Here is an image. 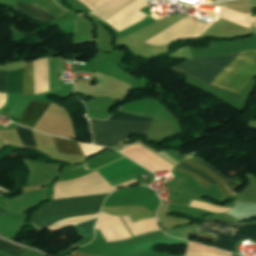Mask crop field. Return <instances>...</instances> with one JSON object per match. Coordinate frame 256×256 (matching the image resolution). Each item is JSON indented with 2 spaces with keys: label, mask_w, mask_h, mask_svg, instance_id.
I'll use <instances>...</instances> for the list:
<instances>
[{
  "label": "crop field",
  "mask_w": 256,
  "mask_h": 256,
  "mask_svg": "<svg viewBox=\"0 0 256 256\" xmlns=\"http://www.w3.org/2000/svg\"><path fill=\"white\" fill-rule=\"evenodd\" d=\"M240 53L187 61L171 71L212 84ZM255 75L256 51L242 52L213 85L240 94Z\"/></svg>",
  "instance_id": "1"
},
{
  "label": "crop field",
  "mask_w": 256,
  "mask_h": 256,
  "mask_svg": "<svg viewBox=\"0 0 256 256\" xmlns=\"http://www.w3.org/2000/svg\"><path fill=\"white\" fill-rule=\"evenodd\" d=\"M107 195L53 200L44 207L103 202ZM101 205L102 203L42 208L32 215V222L42 230L63 218L98 213Z\"/></svg>",
  "instance_id": "2"
},
{
  "label": "crop field",
  "mask_w": 256,
  "mask_h": 256,
  "mask_svg": "<svg viewBox=\"0 0 256 256\" xmlns=\"http://www.w3.org/2000/svg\"><path fill=\"white\" fill-rule=\"evenodd\" d=\"M95 144L116 147L131 134H145L150 122L89 119ZM152 123V122H151Z\"/></svg>",
  "instance_id": "3"
},
{
  "label": "crop field",
  "mask_w": 256,
  "mask_h": 256,
  "mask_svg": "<svg viewBox=\"0 0 256 256\" xmlns=\"http://www.w3.org/2000/svg\"><path fill=\"white\" fill-rule=\"evenodd\" d=\"M254 225H256V223L244 224L211 219L202 223L197 228V230L210 233L218 238L220 236L234 232L242 227L248 230ZM244 228L234 233L218 238L214 244V247L231 252L234 244L238 243L242 239H251L256 242V226L248 231H246Z\"/></svg>",
  "instance_id": "4"
},
{
  "label": "crop field",
  "mask_w": 256,
  "mask_h": 256,
  "mask_svg": "<svg viewBox=\"0 0 256 256\" xmlns=\"http://www.w3.org/2000/svg\"><path fill=\"white\" fill-rule=\"evenodd\" d=\"M7 71H0V91L4 92ZM24 67L8 71L5 92L23 94ZM24 94H34L33 62L25 66Z\"/></svg>",
  "instance_id": "5"
},
{
  "label": "crop field",
  "mask_w": 256,
  "mask_h": 256,
  "mask_svg": "<svg viewBox=\"0 0 256 256\" xmlns=\"http://www.w3.org/2000/svg\"><path fill=\"white\" fill-rule=\"evenodd\" d=\"M49 106L50 103L31 101L24 113L21 115L22 119L20 124L33 128Z\"/></svg>",
  "instance_id": "6"
},
{
  "label": "crop field",
  "mask_w": 256,
  "mask_h": 256,
  "mask_svg": "<svg viewBox=\"0 0 256 256\" xmlns=\"http://www.w3.org/2000/svg\"><path fill=\"white\" fill-rule=\"evenodd\" d=\"M16 10H20L23 13L29 15L31 18L41 22L53 21L56 18L47 14L46 12L25 3H17Z\"/></svg>",
  "instance_id": "7"
},
{
  "label": "crop field",
  "mask_w": 256,
  "mask_h": 256,
  "mask_svg": "<svg viewBox=\"0 0 256 256\" xmlns=\"http://www.w3.org/2000/svg\"><path fill=\"white\" fill-rule=\"evenodd\" d=\"M59 153L82 156L76 142L53 137Z\"/></svg>",
  "instance_id": "8"
},
{
  "label": "crop field",
  "mask_w": 256,
  "mask_h": 256,
  "mask_svg": "<svg viewBox=\"0 0 256 256\" xmlns=\"http://www.w3.org/2000/svg\"><path fill=\"white\" fill-rule=\"evenodd\" d=\"M34 6L48 12L57 18L67 12L55 4L53 0H37Z\"/></svg>",
  "instance_id": "9"
},
{
  "label": "crop field",
  "mask_w": 256,
  "mask_h": 256,
  "mask_svg": "<svg viewBox=\"0 0 256 256\" xmlns=\"http://www.w3.org/2000/svg\"><path fill=\"white\" fill-rule=\"evenodd\" d=\"M189 160L211 170L212 172H214L221 180H223L226 185V187L230 190V192L232 193L234 190H236L240 185H242L241 183H236V182H232L228 179H226L224 176H222L220 173H218L212 166L200 161L197 158H190Z\"/></svg>",
  "instance_id": "10"
},
{
  "label": "crop field",
  "mask_w": 256,
  "mask_h": 256,
  "mask_svg": "<svg viewBox=\"0 0 256 256\" xmlns=\"http://www.w3.org/2000/svg\"><path fill=\"white\" fill-rule=\"evenodd\" d=\"M23 145H27V146H36V143L34 141L33 138V134L32 131L30 129L27 128H15Z\"/></svg>",
  "instance_id": "11"
},
{
  "label": "crop field",
  "mask_w": 256,
  "mask_h": 256,
  "mask_svg": "<svg viewBox=\"0 0 256 256\" xmlns=\"http://www.w3.org/2000/svg\"><path fill=\"white\" fill-rule=\"evenodd\" d=\"M183 162H185V163H187V164H189V165H191V166H193V167H195V168H197V169H199V170H201L203 172H206L209 175H211L217 182L220 183V184H218V187L221 189V191L223 192L224 196L230 194L229 190L223 184L224 182L221 181L218 177H216L212 172H210L209 170H207V169H205V168H203V167H201V166H199V165H197V164H195V163H193V162H191V161H189L187 159H185Z\"/></svg>",
  "instance_id": "12"
},
{
  "label": "crop field",
  "mask_w": 256,
  "mask_h": 256,
  "mask_svg": "<svg viewBox=\"0 0 256 256\" xmlns=\"http://www.w3.org/2000/svg\"><path fill=\"white\" fill-rule=\"evenodd\" d=\"M96 219H92V220L86 221L84 223L75 225V228L78 231L79 235L85 236V235H88L90 233H93L94 232V225L96 223Z\"/></svg>",
  "instance_id": "13"
},
{
  "label": "crop field",
  "mask_w": 256,
  "mask_h": 256,
  "mask_svg": "<svg viewBox=\"0 0 256 256\" xmlns=\"http://www.w3.org/2000/svg\"><path fill=\"white\" fill-rule=\"evenodd\" d=\"M110 119H115V120L152 121L151 118L139 117V116L128 114V113L121 112V111H117L115 114H113L110 117Z\"/></svg>",
  "instance_id": "14"
},
{
  "label": "crop field",
  "mask_w": 256,
  "mask_h": 256,
  "mask_svg": "<svg viewBox=\"0 0 256 256\" xmlns=\"http://www.w3.org/2000/svg\"><path fill=\"white\" fill-rule=\"evenodd\" d=\"M0 248H3L5 250L15 253L17 255H20L21 252L24 250V247L18 246L16 244H13V243L6 241L4 239H1V238H0Z\"/></svg>",
  "instance_id": "15"
},
{
  "label": "crop field",
  "mask_w": 256,
  "mask_h": 256,
  "mask_svg": "<svg viewBox=\"0 0 256 256\" xmlns=\"http://www.w3.org/2000/svg\"><path fill=\"white\" fill-rule=\"evenodd\" d=\"M176 167H177V168H181V169H185V170L192 171V172H194V173L200 175L201 177H203L205 180H207V181L210 182L211 184H216V183H217V182H216L213 178H211L209 175H207V174H205V173H203V172H201V171H199V170H197V169H195V168H193V167H191V166H189V165H187V164H185V163H183V162L180 163V164H178Z\"/></svg>",
  "instance_id": "16"
},
{
  "label": "crop field",
  "mask_w": 256,
  "mask_h": 256,
  "mask_svg": "<svg viewBox=\"0 0 256 256\" xmlns=\"http://www.w3.org/2000/svg\"><path fill=\"white\" fill-rule=\"evenodd\" d=\"M174 171H178V172H182V173H185L193 178H195L196 180L199 181V183H201L204 187H208L209 183L206 182L204 179H202L201 177H199L198 175L194 174V173H191L189 171H185V170H181V169H177V168H174L173 169Z\"/></svg>",
  "instance_id": "17"
},
{
  "label": "crop field",
  "mask_w": 256,
  "mask_h": 256,
  "mask_svg": "<svg viewBox=\"0 0 256 256\" xmlns=\"http://www.w3.org/2000/svg\"><path fill=\"white\" fill-rule=\"evenodd\" d=\"M17 0H0V5L15 8Z\"/></svg>",
  "instance_id": "18"
},
{
  "label": "crop field",
  "mask_w": 256,
  "mask_h": 256,
  "mask_svg": "<svg viewBox=\"0 0 256 256\" xmlns=\"http://www.w3.org/2000/svg\"><path fill=\"white\" fill-rule=\"evenodd\" d=\"M71 256H99V255H94V254H88V253H82V252L75 251V253Z\"/></svg>",
  "instance_id": "19"
},
{
  "label": "crop field",
  "mask_w": 256,
  "mask_h": 256,
  "mask_svg": "<svg viewBox=\"0 0 256 256\" xmlns=\"http://www.w3.org/2000/svg\"><path fill=\"white\" fill-rule=\"evenodd\" d=\"M6 193H9V192L0 188V196H4V194Z\"/></svg>",
  "instance_id": "20"
},
{
  "label": "crop field",
  "mask_w": 256,
  "mask_h": 256,
  "mask_svg": "<svg viewBox=\"0 0 256 256\" xmlns=\"http://www.w3.org/2000/svg\"><path fill=\"white\" fill-rule=\"evenodd\" d=\"M3 213V210L0 209V215Z\"/></svg>",
  "instance_id": "21"
}]
</instances>
